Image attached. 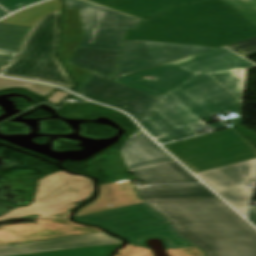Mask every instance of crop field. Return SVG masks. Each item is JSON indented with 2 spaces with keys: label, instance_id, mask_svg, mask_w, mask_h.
Returning <instances> with one entry per match:
<instances>
[{
  "label": "crop field",
  "instance_id": "8a807250",
  "mask_svg": "<svg viewBox=\"0 0 256 256\" xmlns=\"http://www.w3.org/2000/svg\"><path fill=\"white\" fill-rule=\"evenodd\" d=\"M135 187L206 256H256V231L202 184Z\"/></svg>",
  "mask_w": 256,
  "mask_h": 256
},
{
  "label": "crop field",
  "instance_id": "ac0d7876",
  "mask_svg": "<svg viewBox=\"0 0 256 256\" xmlns=\"http://www.w3.org/2000/svg\"><path fill=\"white\" fill-rule=\"evenodd\" d=\"M237 13L222 0L171 7L129 30L126 39L218 47L256 36V27Z\"/></svg>",
  "mask_w": 256,
  "mask_h": 256
},
{
  "label": "crop field",
  "instance_id": "34b2d1b8",
  "mask_svg": "<svg viewBox=\"0 0 256 256\" xmlns=\"http://www.w3.org/2000/svg\"><path fill=\"white\" fill-rule=\"evenodd\" d=\"M59 22L60 12L38 20L16 58L0 69V75L73 88L71 79L56 56Z\"/></svg>",
  "mask_w": 256,
  "mask_h": 256
},
{
  "label": "crop field",
  "instance_id": "412701ff",
  "mask_svg": "<svg viewBox=\"0 0 256 256\" xmlns=\"http://www.w3.org/2000/svg\"><path fill=\"white\" fill-rule=\"evenodd\" d=\"M163 147L193 173L256 158V148L234 128Z\"/></svg>",
  "mask_w": 256,
  "mask_h": 256
},
{
  "label": "crop field",
  "instance_id": "f4fd0767",
  "mask_svg": "<svg viewBox=\"0 0 256 256\" xmlns=\"http://www.w3.org/2000/svg\"><path fill=\"white\" fill-rule=\"evenodd\" d=\"M65 8H78L85 37L79 47L120 50L127 29H136L140 20L83 1L63 0Z\"/></svg>",
  "mask_w": 256,
  "mask_h": 256
},
{
  "label": "crop field",
  "instance_id": "dd49c442",
  "mask_svg": "<svg viewBox=\"0 0 256 256\" xmlns=\"http://www.w3.org/2000/svg\"><path fill=\"white\" fill-rule=\"evenodd\" d=\"M91 193L92 180L60 172L41 181L36 199L31 206L20 207L0 219L28 214L44 216L66 210L76 206L73 203L86 200Z\"/></svg>",
  "mask_w": 256,
  "mask_h": 256
},
{
  "label": "crop field",
  "instance_id": "e52e79f7",
  "mask_svg": "<svg viewBox=\"0 0 256 256\" xmlns=\"http://www.w3.org/2000/svg\"><path fill=\"white\" fill-rule=\"evenodd\" d=\"M170 93L200 119L242 108V103L208 74L197 75Z\"/></svg>",
  "mask_w": 256,
  "mask_h": 256
},
{
  "label": "crop field",
  "instance_id": "d8731c3e",
  "mask_svg": "<svg viewBox=\"0 0 256 256\" xmlns=\"http://www.w3.org/2000/svg\"><path fill=\"white\" fill-rule=\"evenodd\" d=\"M209 49L212 48L126 40L113 79Z\"/></svg>",
  "mask_w": 256,
  "mask_h": 256
},
{
  "label": "crop field",
  "instance_id": "5a996713",
  "mask_svg": "<svg viewBox=\"0 0 256 256\" xmlns=\"http://www.w3.org/2000/svg\"><path fill=\"white\" fill-rule=\"evenodd\" d=\"M74 92L100 103L122 109L132 115L140 124L157 99L90 74Z\"/></svg>",
  "mask_w": 256,
  "mask_h": 256
},
{
  "label": "crop field",
  "instance_id": "3316defc",
  "mask_svg": "<svg viewBox=\"0 0 256 256\" xmlns=\"http://www.w3.org/2000/svg\"><path fill=\"white\" fill-rule=\"evenodd\" d=\"M255 170L256 159L195 175L245 216L252 193L245 184L254 180Z\"/></svg>",
  "mask_w": 256,
  "mask_h": 256
},
{
  "label": "crop field",
  "instance_id": "28ad6ade",
  "mask_svg": "<svg viewBox=\"0 0 256 256\" xmlns=\"http://www.w3.org/2000/svg\"><path fill=\"white\" fill-rule=\"evenodd\" d=\"M37 222L38 225L15 224L1 228L0 241L13 244L102 232L94 228L75 225L66 220H37Z\"/></svg>",
  "mask_w": 256,
  "mask_h": 256
},
{
  "label": "crop field",
  "instance_id": "d1516ede",
  "mask_svg": "<svg viewBox=\"0 0 256 256\" xmlns=\"http://www.w3.org/2000/svg\"><path fill=\"white\" fill-rule=\"evenodd\" d=\"M75 220L99 225L111 232L124 231L169 221L146 203L77 217Z\"/></svg>",
  "mask_w": 256,
  "mask_h": 256
},
{
  "label": "crop field",
  "instance_id": "22f410ed",
  "mask_svg": "<svg viewBox=\"0 0 256 256\" xmlns=\"http://www.w3.org/2000/svg\"><path fill=\"white\" fill-rule=\"evenodd\" d=\"M192 75L194 74L169 63L114 81L161 98Z\"/></svg>",
  "mask_w": 256,
  "mask_h": 256
},
{
  "label": "crop field",
  "instance_id": "cbeb9de0",
  "mask_svg": "<svg viewBox=\"0 0 256 256\" xmlns=\"http://www.w3.org/2000/svg\"><path fill=\"white\" fill-rule=\"evenodd\" d=\"M122 243L121 240L105 233L77 236L64 239L47 240L17 245L0 246V256H12L37 252L109 245Z\"/></svg>",
  "mask_w": 256,
  "mask_h": 256
},
{
  "label": "crop field",
  "instance_id": "5142ce71",
  "mask_svg": "<svg viewBox=\"0 0 256 256\" xmlns=\"http://www.w3.org/2000/svg\"><path fill=\"white\" fill-rule=\"evenodd\" d=\"M193 73H214L243 69L256 64L223 47L196 56L172 62Z\"/></svg>",
  "mask_w": 256,
  "mask_h": 256
},
{
  "label": "crop field",
  "instance_id": "d9b57169",
  "mask_svg": "<svg viewBox=\"0 0 256 256\" xmlns=\"http://www.w3.org/2000/svg\"><path fill=\"white\" fill-rule=\"evenodd\" d=\"M127 168L172 159L153 143L139 128L120 149Z\"/></svg>",
  "mask_w": 256,
  "mask_h": 256
},
{
  "label": "crop field",
  "instance_id": "733c2abd",
  "mask_svg": "<svg viewBox=\"0 0 256 256\" xmlns=\"http://www.w3.org/2000/svg\"><path fill=\"white\" fill-rule=\"evenodd\" d=\"M141 202L142 201L134 195L130 179L120 183L101 185L97 199L79 210L74 217L116 209ZM109 204L113 207H108L107 205Z\"/></svg>",
  "mask_w": 256,
  "mask_h": 256
},
{
  "label": "crop field",
  "instance_id": "4a817a6b",
  "mask_svg": "<svg viewBox=\"0 0 256 256\" xmlns=\"http://www.w3.org/2000/svg\"><path fill=\"white\" fill-rule=\"evenodd\" d=\"M120 236L130 242L127 248L120 253L135 252L138 245L143 244L147 238H161L165 240L166 247L170 249L195 247L178 235L171 222L125 231L120 233Z\"/></svg>",
  "mask_w": 256,
  "mask_h": 256
},
{
  "label": "crop field",
  "instance_id": "bc2a9ffb",
  "mask_svg": "<svg viewBox=\"0 0 256 256\" xmlns=\"http://www.w3.org/2000/svg\"><path fill=\"white\" fill-rule=\"evenodd\" d=\"M83 36L79 10L69 9L64 11L63 39L59 56L67 66L76 83L83 78L87 71L68 64V61L75 52Z\"/></svg>",
  "mask_w": 256,
  "mask_h": 256
},
{
  "label": "crop field",
  "instance_id": "214f88e0",
  "mask_svg": "<svg viewBox=\"0 0 256 256\" xmlns=\"http://www.w3.org/2000/svg\"><path fill=\"white\" fill-rule=\"evenodd\" d=\"M128 171L146 184L199 182L175 160L137 167Z\"/></svg>",
  "mask_w": 256,
  "mask_h": 256
},
{
  "label": "crop field",
  "instance_id": "92a150f3",
  "mask_svg": "<svg viewBox=\"0 0 256 256\" xmlns=\"http://www.w3.org/2000/svg\"><path fill=\"white\" fill-rule=\"evenodd\" d=\"M116 11L144 19L170 6L196 3L202 0H88Z\"/></svg>",
  "mask_w": 256,
  "mask_h": 256
},
{
  "label": "crop field",
  "instance_id": "dafd665d",
  "mask_svg": "<svg viewBox=\"0 0 256 256\" xmlns=\"http://www.w3.org/2000/svg\"><path fill=\"white\" fill-rule=\"evenodd\" d=\"M119 52L77 48L69 63L111 79Z\"/></svg>",
  "mask_w": 256,
  "mask_h": 256
},
{
  "label": "crop field",
  "instance_id": "00972430",
  "mask_svg": "<svg viewBox=\"0 0 256 256\" xmlns=\"http://www.w3.org/2000/svg\"><path fill=\"white\" fill-rule=\"evenodd\" d=\"M140 125L160 144L198 135L190 126L176 129L154 109Z\"/></svg>",
  "mask_w": 256,
  "mask_h": 256
},
{
  "label": "crop field",
  "instance_id": "a9b5d70f",
  "mask_svg": "<svg viewBox=\"0 0 256 256\" xmlns=\"http://www.w3.org/2000/svg\"><path fill=\"white\" fill-rule=\"evenodd\" d=\"M154 109L176 128L201 122L169 94L161 98Z\"/></svg>",
  "mask_w": 256,
  "mask_h": 256
},
{
  "label": "crop field",
  "instance_id": "4177f3b9",
  "mask_svg": "<svg viewBox=\"0 0 256 256\" xmlns=\"http://www.w3.org/2000/svg\"><path fill=\"white\" fill-rule=\"evenodd\" d=\"M62 5L60 0H53L44 4H40L29 9H26L20 13H17L0 23H10L16 25H23L32 27L35 22L42 16L61 11Z\"/></svg>",
  "mask_w": 256,
  "mask_h": 256
},
{
  "label": "crop field",
  "instance_id": "730fd06b",
  "mask_svg": "<svg viewBox=\"0 0 256 256\" xmlns=\"http://www.w3.org/2000/svg\"><path fill=\"white\" fill-rule=\"evenodd\" d=\"M29 27L0 24V49L18 51Z\"/></svg>",
  "mask_w": 256,
  "mask_h": 256
},
{
  "label": "crop field",
  "instance_id": "eef30255",
  "mask_svg": "<svg viewBox=\"0 0 256 256\" xmlns=\"http://www.w3.org/2000/svg\"><path fill=\"white\" fill-rule=\"evenodd\" d=\"M120 245L121 244L73 249V250H64V251H55V252H46V253H37V254H29V255H20V256H109L110 253Z\"/></svg>",
  "mask_w": 256,
  "mask_h": 256
},
{
  "label": "crop field",
  "instance_id": "ae1a2a85",
  "mask_svg": "<svg viewBox=\"0 0 256 256\" xmlns=\"http://www.w3.org/2000/svg\"><path fill=\"white\" fill-rule=\"evenodd\" d=\"M235 97L241 100L243 92V78L235 71L209 74Z\"/></svg>",
  "mask_w": 256,
  "mask_h": 256
},
{
  "label": "crop field",
  "instance_id": "d3111659",
  "mask_svg": "<svg viewBox=\"0 0 256 256\" xmlns=\"http://www.w3.org/2000/svg\"><path fill=\"white\" fill-rule=\"evenodd\" d=\"M232 9L256 26V0H223Z\"/></svg>",
  "mask_w": 256,
  "mask_h": 256
},
{
  "label": "crop field",
  "instance_id": "750c4746",
  "mask_svg": "<svg viewBox=\"0 0 256 256\" xmlns=\"http://www.w3.org/2000/svg\"><path fill=\"white\" fill-rule=\"evenodd\" d=\"M10 87H19V88L25 87L26 89L33 91L34 93L40 95L43 98H45L53 89H57V88L38 85L34 83H27V82L0 78V90L10 88Z\"/></svg>",
  "mask_w": 256,
  "mask_h": 256
},
{
  "label": "crop field",
  "instance_id": "bd1437ed",
  "mask_svg": "<svg viewBox=\"0 0 256 256\" xmlns=\"http://www.w3.org/2000/svg\"><path fill=\"white\" fill-rule=\"evenodd\" d=\"M226 47L246 57L256 53V37Z\"/></svg>",
  "mask_w": 256,
  "mask_h": 256
},
{
  "label": "crop field",
  "instance_id": "1d83c4d3",
  "mask_svg": "<svg viewBox=\"0 0 256 256\" xmlns=\"http://www.w3.org/2000/svg\"><path fill=\"white\" fill-rule=\"evenodd\" d=\"M40 0H0V5L5 8L7 11L11 12L23 6L29 5L31 3L37 2Z\"/></svg>",
  "mask_w": 256,
  "mask_h": 256
},
{
  "label": "crop field",
  "instance_id": "120bbe31",
  "mask_svg": "<svg viewBox=\"0 0 256 256\" xmlns=\"http://www.w3.org/2000/svg\"><path fill=\"white\" fill-rule=\"evenodd\" d=\"M16 54L14 51L0 50V68L12 61Z\"/></svg>",
  "mask_w": 256,
  "mask_h": 256
},
{
  "label": "crop field",
  "instance_id": "d32e631a",
  "mask_svg": "<svg viewBox=\"0 0 256 256\" xmlns=\"http://www.w3.org/2000/svg\"><path fill=\"white\" fill-rule=\"evenodd\" d=\"M68 95L69 94L61 91H55L46 101L56 105L60 103Z\"/></svg>",
  "mask_w": 256,
  "mask_h": 256
},
{
  "label": "crop field",
  "instance_id": "5866460e",
  "mask_svg": "<svg viewBox=\"0 0 256 256\" xmlns=\"http://www.w3.org/2000/svg\"><path fill=\"white\" fill-rule=\"evenodd\" d=\"M69 213L70 212L66 210V211L58 212V213L47 215L40 218H67Z\"/></svg>",
  "mask_w": 256,
  "mask_h": 256
},
{
  "label": "crop field",
  "instance_id": "028f5c9d",
  "mask_svg": "<svg viewBox=\"0 0 256 256\" xmlns=\"http://www.w3.org/2000/svg\"><path fill=\"white\" fill-rule=\"evenodd\" d=\"M248 219L256 226V209H250Z\"/></svg>",
  "mask_w": 256,
  "mask_h": 256
},
{
  "label": "crop field",
  "instance_id": "e1f06a70",
  "mask_svg": "<svg viewBox=\"0 0 256 256\" xmlns=\"http://www.w3.org/2000/svg\"><path fill=\"white\" fill-rule=\"evenodd\" d=\"M6 14H8V13H6L4 10H2V9L0 8V18L3 17V16L6 15Z\"/></svg>",
  "mask_w": 256,
  "mask_h": 256
},
{
  "label": "crop field",
  "instance_id": "0bd39190",
  "mask_svg": "<svg viewBox=\"0 0 256 256\" xmlns=\"http://www.w3.org/2000/svg\"><path fill=\"white\" fill-rule=\"evenodd\" d=\"M0 245H5V244L0 242Z\"/></svg>",
  "mask_w": 256,
  "mask_h": 256
}]
</instances>
